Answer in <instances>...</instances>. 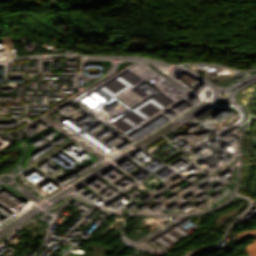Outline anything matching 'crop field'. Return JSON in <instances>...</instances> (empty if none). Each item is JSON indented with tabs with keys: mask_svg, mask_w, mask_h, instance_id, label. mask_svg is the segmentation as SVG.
I'll use <instances>...</instances> for the list:
<instances>
[{
	"mask_svg": "<svg viewBox=\"0 0 256 256\" xmlns=\"http://www.w3.org/2000/svg\"><path fill=\"white\" fill-rule=\"evenodd\" d=\"M255 235H256V229L246 230V231L237 233L236 240L238 241V243H240V242H242L250 237H253ZM246 251L251 256H256V239L253 240L252 243L248 244Z\"/></svg>",
	"mask_w": 256,
	"mask_h": 256,
	"instance_id": "obj_1",
	"label": "crop field"
}]
</instances>
